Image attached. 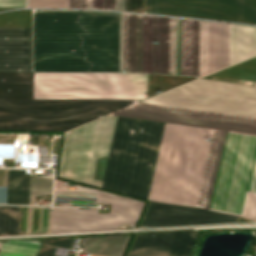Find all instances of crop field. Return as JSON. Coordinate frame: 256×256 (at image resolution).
Listing matches in <instances>:
<instances>
[{
    "label": "crop field",
    "mask_w": 256,
    "mask_h": 256,
    "mask_svg": "<svg viewBox=\"0 0 256 256\" xmlns=\"http://www.w3.org/2000/svg\"><path fill=\"white\" fill-rule=\"evenodd\" d=\"M150 100L256 115V87L205 79Z\"/></svg>",
    "instance_id": "dd49c442"
},
{
    "label": "crop field",
    "mask_w": 256,
    "mask_h": 256,
    "mask_svg": "<svg viewBox=\"0 0 256 256\" xmlns=\"http://www.w3.org/2000/svg\"><path fill=\"white\" fill-rule=\"evenodd\" d=\"M196 231L137 235L127 256H188Z\"/></svg>",
    "instance_id": "28ad6ade"
},
{
    "label": "crop field",
    "mask_w": 256,
    "mask_h": 256,
    "mask_svg": "<svg viewBox=\"0 0 256 256\" xmlns=\"http://www.w3.org/2000/svg\"><path fill=\"white\" fill-rule=\"evenodd\" d=\"M31 27H0V71L31 72Z\"/></svg>",
    "instance_id": "d1516ede"
},
{
    "label": "crop field",
    "mask_w": 256,
    "mask_h": 256,
    "mask_svg": "<svg viewBox=\"0 0 256 256\" xmlns=\"http://www.w3.org/2000/svg\"><path fill=\"white\" fill-rule=\"evenodd\" d=\"M72 239L71 237L44 239L42 244L70 248ZM55 249L53 247L41 246L39 252L53 255Z\"/></svg>",
    "instance_id": "92a150f3"
},
{
    "label": "crop field",
    "mask_w": 256,
    "mask_h": 256,
    "mask_svg": "<svg viewBox=\"0 0 256 256\" xmlns=\"http://www.w3.org/2000/svg\"><path fill=\"white\" fill-rule=\"evenodd\" d=\"M25 7V0H0V8Z\"/></svg>",
    "instance_id": "a9b5d70f"
},
{
    "label": "crop field",
    "mask_w": 256,
    "mask_h": 256,
    "mask_svg": "<svg viewBox=\"0 0 256 256\" xmlns=\"http://www.w3.org/2000/svg\"><path fill=\"white\" fill-rule=\"evenodd\" d=\"M112 204L111 213L96 214V208L53 207L50 233L80 229L117 228L138 220L143 202L98 191V202Z\"/></svg>",
    "instance_id": "d8731c3e"
},
{
    "label": "crop field",
    "mask_w": 256,
    "mask_h": 256,
    "mask_svg": "<svg viewBox=\"0 0 256 256\" xmlns=\"http://www.w3.org/2000/svg\"><path fill=\"white\" fill-rule=\"evenodd\" d=\"M96 190L73 184L68 190L56 189L55 205L94 206Z\"/></svg>",
    "instance_id": "733c2abd"
},
{
    "label": "crop field",
    "mask_w": 256,
    "mask_h": 256,
    "mask_svg": "<svg viewBox=\"0 0 256 256\" xmlns=\"http://www.w3.org/2000/svg\"><path fill=\"white\" fill-rule=\"evenodd\" d=\"M113 115L256 133V116L146 101Z\"/></svg>",
    "instance_id": "e52e79f7"
},
{
    "label": "crop field",
    "mask_w": 256,
    "mask_h": 256,
    "mask_svg": "<svg viewBox=\"0 0 256 256\" xmlns=\"http://www.w3.org/2000/svg\"><path fill=\"white\" fill-rule=\"evenodd\" d=\"M236 216L207 209L150 202L140 227L237 221Z\"/></svg>",
    "instance_id": "3316defc"
},
{
    "label": "crop field",
    "mask_w": 256,
    "mask_h": 256,
    "mask_svg": "<svg viewBox=\"0 0 256 256\" xmlns=\"http://www.w3.org/2000/svg\"><path fill=\"white\" fill-rule=\"evenodd\" d=\"M117 118L67 132L63 178L100 188ZM163 125L118 118L101 188L145 199ZM214 132L165 123L146 199L196 207ZM227 132H215L197 207L209 208ZM245 188L256 192V136L229 131L209 209L239 216Z\"/></svg>",
    "instance_id": "8a807250"
},
{
    "label": "crop field",
    "mask_w": 256,
    "mask_h": 256,
    "mask_svg": "<svg viewBox=\"0 0 256 256\" xmlns=\"http://www.w3.org/2000/svg\"><path fill=\"white\" fill-rule=\"evenodd\" d=\"M144 0H125V11L143 12Z\"/></svg>",
    "instance_id": "00972430"
},
{
    "label": "crop field",
    "mask_w": 256,
    "mask_h": 256,
    "mask_svg": "<svg viewBox=\"0 0 256 256\" xmlns=\"http://www.w3.org/2000/svg\"><path fill=\"white\" fill-rule=\"evenodd\" d=\"M146 12L256 22V0H146Z\"/></svg>",
    "instance_id": "5a996713"
},
{
    "label": "crop field",
    "mask_w": 256,
    "mask_h": 256,
    "mask_svg": "<svg viewBox=\"0 0 256 256\" xmlns=\"http://www.w3.org/2000/svg\"><path fill=\"white\" fill-rule=\"evenodd\" d=\"M0 98H31V73L0 72Z\"/></svg>",
    "instance_id": "5142ce71"
},
{
    "label": "crop field",
    "mask_w": 256,
    "mask_h": 256,
    "mask_svg": "<svg viewBox=\"0 0 256 256\" xmlns=\"http://www.w3.org/2000/svg\"><path fill=\"white\" fill-rule=\"evenodd\" d=\"M129 236H109L83 238V252L105 255L121 256Z\"/></svg>",
    "instance_id": "d9b57169"
},
{
    "label": "crop field",
    "mask_w": 256,
    "mask_h": 256,
    "mask_svg": "<svg viewBox=\"0 0 256 256\" xmlns=\"http://www.w3.org/2000/svg\"><path fill=\"white\" fill-rule=\"evenodd\" d=\"M228 65V24L203 21L202 76Z\"/></svg>",
    "instance_id": "22f410ed"
},
{
    "label": "crop field",
    "mask_w": 256,
    "mask_h": 256,
    "mask_svg": "<svg viewBox=\"0 0 256 256\" xmlns=\"http://www.w3.org/2000/svg\"><path fill=\"white\" fill-rule=\"evenodd\" d=\"M147 74L32 73V98L146 99Z\"/></svg>",
    "instance_id": "f4fd0767"
},
{
    "label": "crop field",
    "mask_w": 256,
    "mask_h": 256,
    "mask_svg": "<svg viewBox=\"0 0 256 256\" xmlns=\"http://www.w3.org/2000/svg\"><path fill=\"white\" fill-rule=\"evenodd\" d=\"M87 8L114 10V0H87ZM115 9L124 10V0H115Z\"/></svg>",
    "instance_id": "214f88e0"
},
{
    "label": "crop field",
    "mask_w": 256,
    "mask_h": 256,
    "mask_svg": "<svg viewBox=\"0 0 256 256\" xmlns=\"http://www.w3.org/2000/svg\"><path fill=\"white\" fill-rule=\"evenodd\" d=\"M198 48L199 21L162 17V74L198 76ZM123 71L132 72V15L127 14ZM133 72L147 73V16L133 15ZM148 73H161V17L148 16Z\"/></svg>",
    "instance_id": "34b2d1b8"
},
{
    "label": "crop field",
    "mask_w": 256,
    "mask_h": 256,
    "mask_svg": "<svg viewBox=\"0 0 256 256\" xmlns=\"http://www.w3.org/2000/svg\"><path fill=\"white\" fill-rule=\"evenodd\" d=\"M75 71H119V13L34 12L33 72Z\"/></svg>",
    "instance_id": "ac0d7876"
},
{
    "label": "crop field",
    "mask_w": 256,
    "mask_h": 256,
    "mask_svg": "<svg viewBox=\"0 0 256 256\" xmlns=\"http://www.w3.org/2000/svg\"><path fill=\"white\" fill-rule=\"evenodd\" d=\"M230 65L256 55V27L229 24Z\"/></svg>",
    "instance_id": "cbeb9de0"
},
{
    "label": "crop field",
    "mask_w": 256,
    "mask_h": 256,
    "mask_svg": "<svg viewBox=\"0 0 256 256\" xmlns=\"http://www.w3.org/2000/svg\"><path fill=\"white\" fill-rule=\"evenodd\" d=\"M28 7L68 8V0H28Z\"/></svg>",
    "instance_id": "dafd665d"
},
{
    "label": "crop field",
    "mask_w": 256,
    "mask_h": 256,
    "mask_svg": "<svg viewBox=\"0 0 256 256\" xmlns=\"http://www.w3.org/2000/svg\"><path fill=\"white\" fill-rule=\"evenodd\" d=\"M52 178L30 177L29 204L31 196L51 194Z\"/></svg>",
    "instance_id": "bc2a9ffb"
},
{
    "label": "crop field",
    "mask_w": 256,
    "mask_h": 256,
    "mask_svg": "<svg viewBox=\"0 0 256 256\" xmlns=\"http://www.w3.org/2000/svg\"><path fill=\"white\" fill-rule=\"evenodd\" d=\"M69 8L86 9V0H69Z\"/></svg>",
    "instance_id": "4177f3b9"
},
{
    "label": "crop field",
    "mask_w": 256,
    "mask_h": 256,
    "mask_svg": "<svg viewBox=\"0 0 256 256\" xmlns=\"http://www.w3.org/2000/svg\"><path fill=\"white\" fill-rule=\"evenodd\" d=\"M29 174L8 170L7 204H28Z\"/></svg>",
    "instance_id": "4a817a6b"
},
{
    "label": "crop field",
    "mask_w": 256,
    "mask_h": 256,
    "mask_svg": "<svg viewBox=\"0 0 256 256\" xmlns=\"http://www.w3.org/2000/svg\"><path fill=\"white\" fill-rule=\"evenodd\" d=\"M139 101L0 99V130L65 132Z\"/></svg>",
    "instance_id": "412701ff"
}]
</instances>
